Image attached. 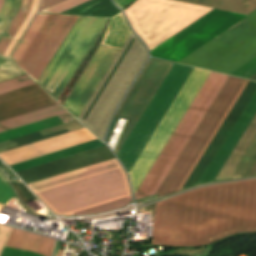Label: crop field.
Here are the masks:
<instances>
[{"label":"crop field","instance_id":"crop-field-1","mask_svg":"<svg viewBox=\"0 0 256 256\" xmlns=\"http://www.w3.org/2000/svg\"><path fill=\"white\" fill-rule=\"evenodd\" d=\"M240 232H256V179L157 202L151 244L199 246Z\"/></svg>","mask_w":256,"mask_h":256},{"label":"crop field","instance_id":"crop-field-2","mask_svg":"<svg viewBox=\"0 0 256 256\" xmlns=\"http://www.w3.org/2000/svg\"><path fill=\"white\" fill-rule=\"evenodd\" d=\"M111 158L114 156L103 146L17 174L28 184ZM28 186L55 214L65 216L131 195L116 158Z\"/></svg>","mask_w":256,"mask_h":256},{"label":"crop field","instance_id":"crop-field-3","mask_svg":"<svg viewBox=\"0 0 256 256\" xmlns=\"http://www.w3.org/2000/svg\"><path fill=\"white\" fill-rule=\"evenodd\" d=\"M225 78V75L211 72L138 191L136 190V200L153 195ZM244 82V79L227 76L154 194L162 196L176 191Z\"/></svg>","mask_w":256,"mask_h":256},{"label":"crop field","instance_id":"crop-field-4","mask_svg":"<svg viewBox=\"0 0 256 256\" xmlns=\"http://www.w3.org/2000/svg\"><path fill=\"white\" fill-rule=\"evenodd\" d=\"M256 56V11L179 63L229 74Z\"/></svg>","mask_w":256,"mask_h":256},{"label":"crop field","instance_id":"crop-field-5","mask_svg":"<svg viewBox=\"0 0 256 256\" xmlns=\"http://www.w3.org/2000/svg\"><path fill=\"white\" fill-rule=\"evenodd\" d=\"M210 10L170 0H138L124 12L150 51Z\"/></svg>","mask_w":256,"mask_h":256},{"label":"crop field","instance_id":"crop-field-6","mask_svg":"<svg viewBox=\"0 0 256 256\" xmlns=\"http://www.w3.org/2000/svg\"><path fill=\"white\" fill-rule=\"evenodd\" d=\"M192 70V67L174 64L132 133L121 148L117 156L125 166L128 173Z\"/></svg>","mask_w":256,"mask_h":256},{"label":"crop field","instance_id":"crop-field-7","mask_svg":"<svg viewBox=\"0 0 256 256\" xmlns=\"http://www.w3.org/2000/svg\"><path fill=\"white\" fill-rule=\"evenodd\" d=\"M209 74V71L194 68L129 173L134 193L147 175Z\"/></svg>","mask_w":256,"mask_h":256},{"label":"crop field","instance_id":"crop-field-8","mask_svg":"<svg viewBox=\"0 0 256 256\" xmlns=\"http://www.w3.org/2000/svg\"><path fill=\"white\" fill-rule=\"evenodd\" d=\"M244 17L213 9L150 51L151 56L177 62Z\"/></svg>","mask_w":256,"mask_h":256},{"label":"crop field","instance_id":"crop-field-9","mask_svg":"<svg viewBox=\"0 0 256 256\" xmlns=\"http://www.w3.org/2000/svg\"><path fill=\"white\" fill-rule=\"evenodd\" d=\"M79 16L49 14L19 63L35 82Z\"/></svg>","mask_w":256,"mask_h":256},{"label":"crop field","instance_id":"crop-field-10","mask_svg":"<svg viewBox=\"0 0 256 256\" xmlns=\"http://www.w3.org/2000/svg\"><path fill=\"white\" fill-rule=\"evenodd\" d=\"M255 92L256 83L248 81L245 88L241 92L240 96L236 100L235 104L231 108L230 112L226 116L225 120L221 124L220 128L216 132L215 136L209 143L208 147L204 151L203 155L199 159L198 163L194 167L193 171L191 172V174L189 175L188 179L186 180L181 189L197 185L200 178L206 171L207 167L213 160L214 156L220 149L221 145L227 138L228 134L230 133L234 125L236 124L237 120L243 113L244 109L250 102Z\"/></svg>","mask_w":256,"mask_h":256},{"label":"crop field","instance_id":"crop-field-11","mask_svg":"<svg viewBox=\"0 0 256 256\" xmlns=\"http://www.w3.org/2000/svg\"><path fill=\"white\" fill-rule=\"evenodd\" d=\"M63 113H67V111L65 109H63L59 104L50 106V107H47V108H44V109H41L38 111H34V112H31V113H28L25 115H21V116L0 122V132L9 130L12 128H16V127H19L22 125H26V124H29L32 122H36V121H39L42 119H46V118H49L52 116L63 114ZM67 128H69L72 131V130H76L79 128H83V126L81 124H79L76 120H74V121H71V122L63 124V125L39 130V133L41 134V136H43V135H47V134L57 132V131L67 129ZM69 129L63 130V131H60L57 133H53V134H50L47 136H43V137H41L40 134L38 133V131H36L33 133H29V134L11 139L12 141L16 140L19 145H17L16 141L11 142L10 139L6 140V141H2V142H0V153L7 151L6 148H8V147H11L14 145L20 146L23 144H27V143H30V142H33L36 140H40V139H43V138H46L49 136H53V135H56V134H59L62 132L69 131ZM17 146H14V147H17ZM14 147L8 148V150L12 149Z\"/></svg>","mask_w":256,"mask_h":256},{"label":"crop field","instance_id":"crop-field-12","mask_svg":"<svg viewBox=\"0 0 256 256\" xmlns=\"http://www.w3.org/2000/svg\"><path fill=\"white\" fill-rule=\"evenodd\" d=\"M57 104L36 84L0 95V121Z\"/></svg>","mask_w":256,"mask_h":256},{"label":"crop field","instance_id":"crop-field-13","mask_svg":"<svg viewBox=\"0 0 256 256\" xmlns=\"http://www.w3.org/2000/svg\"><path fill=\"white\" fill-rule=\"evenodd\" d=\"M96 139L85 128L63 134L54 138L40 141L19 149L1 153L0 157L8 164L17 163L46 153L60 150L69 146Z\"/></svg>","mask_w":256,"mask_h":256},{"label":"crop field","instance_id":"crop-field-14","mask_svg":"<svg viewBox=\"0 0 256 256\" xmlns=\"http://www.w3.org/2000/svg\"><path fill=\"white\" fill-rule=\"evenodd\" d=\"M54 241L33 233L13 229L5 246L51 256ZM4 247L0 256H41L32 252Z\"/></svg>","mask_w":256,"mask_h":256},{"label":"crop field","instance_id":"crop-field-15","mask_svg":"<svg viewBox=\"0 0 256 256\" xmlns=\"http://www.w3.org/2000/svg\"><path fill=\"white\" fill-rule=\"evenodd\" d=\"M255 113H256V94L254 95L251 102L249 103V105L245 109L244 113L242 114V116L238 120L237 124L235 125V127L231 131L230 135L228 136V138L226 139V141L222 145L221 149L219 150V152L215 156L214 160L212 161V163L208 167L207 171L205 172V174L201 178L198 185L213 181L216 174L220 170L221 166L223 165V163L227 159L228 155L232 151L233 147L235 146V144L239 140L240 136L244 132L245 128L247 127V125L249 124V122L251 121V119H252V117L254 116Z\"/></svg>","mask_w":256,"mask_h":256},{"label":"crop field","instance_id":"crop-field-16","mask_svg":"<svg viewBox=\"0 0 256 256\" xmlns=\"http://www.w3.org/2000/svg\"><path fill=\"white\" fill-rule=\"evenodd\" d=\"M130 32L124 17L120 13L112 17L102 44L121 50Z\"/></svg>","mask_w":256,"mask_h":256},{"label":"crop field","instance_id":"crop-field-17","mask_svg":"<svg viewBox=\"0 0 256 256\" xmlns=\"http://www.w3.org/2000/svg\"><path fill=\"white\" fill-rule=\"evenodd\" d=\"M195 4L211 6L229 11L248 14L256 8V0H180Z\"/></svg>","mask_w":256,"mask_h":256},{"label":"crop field","instance_id":"crop-field-18","mask_svg":"<svg viewBox=\"0 0 256 256\" xmlns=\"http://www.w3.org/2000/svg\"><path fill=\"white\" fill-rule=\"evenodd\" d=\"M48 14H37L34 21L28 28L27 32L21 39L20 43L14 50L13 54L11 55V59L18 65L19 61L23 57L24 53L26 52L27 48L31 44L32 40L34 39L35 35L39 31L40 27L42 26L43 22L47 18Z\"/></svg>","mask_w":256,"mask_h":256},{"label":"crop field","instance_id":"crop-field-19","mask_svg":"<svg viewBox=\"0 0 256 256\" xmlns=\"http://www.w3.org/2000/svg\"><path fill=\"white\" fill-rule=\"evenodd\" d=\"M32 0H21L20 8L13 18L12 22L8 26L7 30L5 31L4 35L0 39V55L4 52L5 48L11 41L12 37L18 30L19 26L25 19L26 15L30 10Z\"/></svg>","mask_w":256,"mask_h":256},{"label":"crop field","instance_id":"crop-field-20","mask_svg":"<svg viewBox=\"0 0 256 256\" xmlns=\"http://www.w3.org/2000/svg\"><path fill=\"white\" fill-rule=\"evenodd\" d=\"M130 201H131V196L111 202V203H107V204H104V205H101L98 207H94V208H91V209H88V210H85L82 212L75 213L73 216L95 214V213H100V212L117 209V208H120V207L130 203Z\"/></svg>","mask_w":256,"mask_h":256},{"label":"crop field","instance_id":"crop-field-21","mask_svg":"<svg viewBox=\"0 0 256 256\" xmlns=\"http://www.w3.org/2000/svg\"><path fill=\"white\" fill-rule=\"evenodd\" d=\"M31 84H34V82L30 80L26 75L4 81L0 83V94Z\"/></svg>","mask_w":256,"mask_h":256},{"label":"crop field","instance_id":"crop-field-22","mask_svg":"<svg viewBox=\"0 0 256 256\" xmlns=\"http://www.w3.org/2000/svg\"><path fill=\"white\" fill-rule=\"evenodd\" d=\"M24 75L12 62L0 65V82L17 76Z\"/></svg>","mask_w":256,"mask_h":256},{"label":"crop field","instance_id":"crop-field-23","mask_svg":"<svg viewBox=\"0 0 256 256\" xmlns=\"http://www.w3.org/2000/svg\"><path fill=\"white\" fill-rule=\"evenodd\" d=\"M87 0H65L40 12L60 13Z\"/></svg>","mask_w":256,"mask_h":256},{"label":"crop field","instance_id":"crop-field-24","mask_svg":"<svg viewBox=\"0 0 256 256\" xmlns=\"http://www.w3.org/2000/svg\"><path fill=\"white\" fill-rule=\"evenodd\" d=\"M256 72V57L235 70L234 72L231 73V75H236L240 77L247 78L253 73Z\"/></svg>","mask_w":256,"mask_h":256},{"label":"crop field","instance_id":"crop-field-25","mask_svg":"<svg viewBox=\"0 0 256 256\" xmlns=\"http://www.w3.org/2000/svg\"><path fill=\"white\" fill-rule=\"evenodd\" d=\"M15 194L0 173V202L6 204Z\"/></svg>","mask_w":256,"mask_h":256},{"label":"crop field","instance_id":"crop-field-26","mask_svg":"<svg viewBox=\"0 0 256 256\" xmlns=\"http://www.w3.org/2000/svg\"><path fill=\"white\" fill-rule=\"evenodd\" d=\"M13 186L15 187V189L17 190L21 200L26 203L32 199H34V196L28 191V189L20 183H16V182H12Z\"/></svg>","mask_w":256,"mask_h":256},{"label":"crop field","instance_id":"crop-field-27","mask_svg":"<svg viewBox=\"0 0 256 256\" xmlns=\"http://www.w3.org/2000/svg\"><path fill=\"white\" fill-rule=\"evenodd\" d=\"M246 82L244 83L243 87L241 88V90L239 91V93L237 94L236 98L234 99V101L232 102L231 106L229 107V109L227 110V112L225 113L224 117L222 118V120L220 121V123L218 124L217 128L215 129V131L213 132L212 136L210 137V139L208 140V142L206 143L205 147L203 148V150L201 151V153L199 154L198 158L196 159V161L194 162V164L192 165L191 169L189 170V172L187 173L186 177L184 178V180L182 181L181 185L179 186V188L177 189L180 190V188L182 187L183 183L185 182V180L187 179L188 175L190 174V172L192 171L193 167L195 166V164L197 163L198 159L200 158V156L202 155L203 151L205 150V148L207 147L208 143L210 142V140L212 139L213 135L215 134V132L217 131V129L219 128L220 124L222 123V121L224 120L225 116L227 115V113L229 112L230 108L232 107V105L234 104L235 100L237 99V97L239 96L240 92L242 91V89L244 88Z\"/></svg>","mask_w":256,"mask_h":256},{"label":"crop field","instance_id":"crop-field-28","mask_svg":"<svg viewBox=\"0 0 256 256\" xmlns=\"http://www.w3.org/2000/svg\"><path fill=\"white\" fill-rule=\"evenodd\" d=\"M12 230V227L0 225V252Z\"/></svg>","mask_w":256,"mask_h":256},{"label":"crop field","instance_id":"crop-field-29","mask_svg":"<svg viewBox=\"0 0 256 256\" xmlns=\"http://www.w3.org/2000/svg\"><path fill=\"white\" fill-rule=\"evenodd\" d=\"M61 1L63 0H42L39 11Z\"/></svg>","mask_w":256,"mask_h":256},{"label":"crop field","instance_id":"crop-field-30","mask_svg":"<svg viewBox=\"0 0 256 256\" xmlns=\"http://www.w3.org/2000/svg\"><path fill=\"white\" fill-rule=\"evenodd\" d=\"M117 120H118V119L113 118V120H112V122H111V125H110V128H109V131H108V133H107V137H106V141H107V142H108V140H109V138H110V136H111V133H112V131H113V129H114V126H115V124H116Z\"/></svg>","mask_w":256,"mask_h":256},{"label":"crop field","instance_id":"crop-field-31","mask_svg":"<svg viewBox=\"0 0 256 256\" xmlns=\"http://www.w3.org/2000/svg\"><path fill=\"white\" fill-rule=\"evenodd\" d=\"M114 1L116 4H118L124 10L123 7L130 4L134 0H114Z\"/></svg>","mask_w":256,"mask_h":256},{"label":"crop field","instance_id":"crop-field-32","mask_svg":"<svg viewBox=\"0 0 256 256\" xmlns=\"http://www.w3.org/2000/svg\"><path fill=\"white\" fill-rule=\"evenodd\" d=\"M248 79H252V80H255V81H256V73L253 74L252 76H250Z\"/></svg>","mask_w":256,"mask_h":256},{"label":"crop field","instance_id":"crop-field-33","mask_svg":"<svg viewBox=\"0 0 256 256\" xmlns=\"http://www.w3.org/2000/svg\"><path fill=\"white\" fill-rule=\"evenodd\" d=\"M3 3H4V0H0V10H1L2 6H3Z\"/></svg>","mask_w":256,"mask_h":256}]
</instances>
